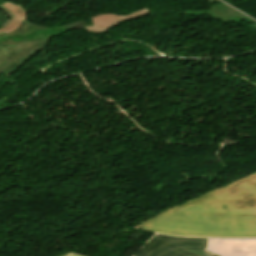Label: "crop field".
<instances>
[{
	"label": "crop field",
	"instance_id": "8a807250",
	"mask_svg": "<svg viewBox=\"0 0 256 256\" xmlns=\"http://www.w3.org/2000/svg\"><path fill=\"white\" fill-rule=\"evenodd\" d=\"M133 227L190 237H256V172Z\"/></svg>",
	"mask_w": 256,
	"mask_h": 256
},
{
	"label": "crop field",
	"instance_id": "ac0d7876",
	"mask_svg": "<svg viewBox=\"0 0 256 256\" xmlns=\"http://www.w3.org/2000/svg\"><path fill=\"white\" fill-rule=\"evenodd\" d=\"M67 31L65 26L46 27L23 21L16 31L0 36V72L10 74L43 49L51 36Z\"/></svg>",
	"mask_w": 256,
	"mask_h": 256
},
{
	"label": "crop field",
	"instance_id": "34b2d1b8",
	"mask_svg": "<svg viewBox=\"0 0 256 256\" xmlns=\"http://www.w3.org/2000/svg\"><path fill=\"white\" fill-rule=\"evenodd\" d=\"M207 239L156 234L135 256H197L185 250H206Z\"/></svg>",
	"mask_w": 256,
	"mask_h": 256
},
{
	"label": "crop field",
	"instance_id": "412701ff",
	"mask_svg": "<svg viewBox=\"0 0 256 256\" xmlns=\"http://www.w3.org/2000/svg\"><path fill=\"white\" fill-rule=\"evenodd\" d=\"M208 250L220 256H256V239H209Z\"/></svg>",
	"mask_w": 256,
	"mask_h": 256
},
{
	"label": "crop field",
	"instance_id": "f4fd0767",
	"mask_svg": "<svg viewBox=\"0 0 256 256\" xmlns=\"http://www.w3.org/2000/svg\"><path fill=\"white\" fill-rule=\"evenodd\" d=\"M147 8L141 9L133 14L125 15V16H119L114 14H99L97 16L92 17V21L94 26H86L83 27L84 30L90 31V32H100L103 33L110 28L117 25L119 22L123 20H127L130 18L147 15Z\"/></svg>",
	"mask_w": 256,
	"mask_h": 256
},
{
	"label": "crop field",
	"instance_id": "dd49c442",
	"mask_svg": "<svg viewBox=\"0 0 256 256\" xmlns=\"http://www.w3.org/2000/svg\"><path fill=\"white\" fill-rule=\"evenodd\" d=\"M0 9L8 15L7 23L0 28V35L17 29L21 21L26 20V10L18 4L5 1L0 4Z\"/></svg>",
	"mask_w": 256,
	"mask_h": 256
},
{
	"label": "crop field",
	"instance_id": "e52e79f7",
	"mask_svg": "<svg viewBox=\"0 0 256 256\" xmlns=\"http://www.w3.org/2000/svg\"><path fill=\"white\" fill-rule=\"evenodd\" d=\"M239 12L220 3L216 6L211 7L207 11H190L186 12L185 15H211L218 18L221 21L228 22Z\"/></svg>",
	"mask_w": 256,
	"mask_h": 256
},
{
	"label": "crop field",
	"instance_id": "d8731c3e",
	"mask_svg": "<svg viewBox=\"0 0 256 256\" xmlns=\"http://www.w3.org/2000/svg\"><path fill=\"white\" fill-rule=\"evenodd\" d=\"M190 252L195 253L199 256H216V255H214L212 253H209V252H201V251H190Z\"/></svg>",
	"mask_w": 256,
	"mask_h": 256
},
{
	"label": "crop field",
	"instance_id": "5a996713",
	"mask_svg": "<svg viewBox=\"0 0 256 256\" xmlns=\"http://www.w3.org/2000/svg\"><path fill=\"white\" fill-rule=\"evenodd\" d=\"M62 256H79V255H75V254L69 253V254H65V255H62Z\"/></svg>",
	"mask_w": 256,
	"mask_h": 256
}]
</instances>
